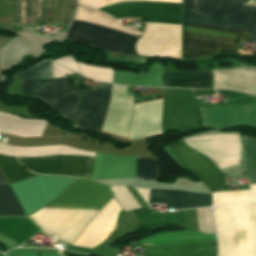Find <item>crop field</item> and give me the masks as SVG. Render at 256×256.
Returning a JSON list of instances; mask_svg holds the SVG:
<instances>
[{"instance_id":"8a807250","label":"crop field","mask_w":256,"mask_h":256,"mask_svg":"<svg viewBox=\"0 0 256 256\" xmlns=\"http://www.w3.org/2000/svg\"><path fill=\"white\" fill-rule=\"evenodd\" d=\"M182 21L246 31L256 41V0H183ZM185 22L182 58L237 53L241 32Z\"/></svg>"},{"instance_id":"ac0d7876","label":"crop field","mask_w":256,"mask_h":256,"mask_svg":"<svg viewBox=\"0 0 256 256\" xmlns=\"http://www.w3.org/2000/svg\"><path fill=\"white\" fill-rule=\"evenodd\" d=\"M121 1H160L181 3V0H78V3L99 9ZM160 2H122L99 9L115 19L136 16L145 22L181 24V4ZM136 51L139 56H161L181 59V25L146 23Z\"/></svg>"},{"instance_id":"34b2d1b8","label":"crop field","mask_w":256,"mask_h":256,"mask_svg":"<svg viewBox=\"0 0 256 256\" xmlns=\"http://www.w3.org/2000/svg\"><path fill=\"white\" fill-rule=\"evenodd\" d=\"M109 187L89 179L76 178L45 207L100 210L113 197ZM97 212L73 210L53 235L71 244Z\"/></svg>"},{"instance_id":"412701ff","label":"crop field","mask_w":256,"mask_h":256,"mask_svg":"<svg viewBox=\"0 0 256 256\" xmlns=\"http://www.w3.org/2000/svg\"><path fill=\"white\" fill-rule=\"evenodd\" d=\"M218 256H256V201L214 208Z\"/></svg>"},{"instance_id":"f4fd0767","label":"crop field","mask_w":256,"mask_h":256,"mask_svg":"<svg viewBox=\"0 0 256 256\" xmlns=\"http://www.w3.org/2000/svg\"><path fill=\"white\" fill-rule=\"evenodd\" d=\"M74 20L120 30L132 35L140 36L142 34L141 32L122 27L111 17L90 8L77 6L76 17ZM77 21H73L67 32V38L86 42L91 46L109 52L134 55L133 44L138 37Z\"/></svg>"},{"instance_id":"dd49c442","label":"crop field","mask_w":256,"mask_h":256,"mask_svg":"<svg viewBox=\"0 0 256 256\" xmlns=\"http://www.w3.org/2000/svg\"><path fill=\"white\" fill-rule=\"evenodd\" d=\"M83 92L68 93L66 78L24 80L23 94L36 95L57 109L65 118L74 120Z\"/></svg>"},{"instance_id":"e52e79f7","label":"crop field","mask_w":256,"mask_h":256,"mask_svg":"<svg viewBox=\"0 0 256 256\" xmlns=\"http://www.w3.org/2000/svg\"><path fill=\"white\" fill-rule=\"evenodd\" d=\"M19 163L33 165L62 166L92 169L94 157L72 156V155H55L46 157H15ZM23 167L35 173L52 174V175H71L91 177L92 170L44 167L21 164Z\"/></svg>"},{"instance_id":"d8731c3e","label":"crop field","mask_w":256,"mask_h":256,"mask_svg":"<svg viewBox=\"0 0 256 256\" xmlns=\"http://www.w3.org/2000/svg\"><path fill=\"white\" fill-rule=\"evenodd\" d=\"M111 85L97 83L90 92H84L73 126L100 131L104 120Z\"/></svg>"},{"instance_id":"5a996713","label":"crop field","mask_w":256,"mask_h":256,"mask_svg":"<svg viewBox=\"0 0 256 256\" xmlns=\"http://www.w3.org/2000/svg\"><path fill=\"white\" fill-rule=\"evenodd\" d=\"M202 124L215 130L235 125L256 127V105L199 108Z\"/></svg>"},{"instance_id":"3316defc","label":"crop field","mask_w":256,"mask_h":256,"mask_svg":"<svg viewBox=\"0 0 256 256\" xmlns=\"http://www.w3.org/2000/svg\"><path fill=\"white\" fill-rule=\"evenodd\" d=\"M169 147L210 191L224 186V174L215 167L211 160L191 150L181 140Z\"/></svg>"},{"instance_id":"28ad6ade","label":"crop field","mask_w":256,"mask_h":256,"mask_svg":"<svg viewBox=\"0 0 256 256\" xmlns=\"http://www.w3.org/2000/svg\"><path fill=\"white\" fill-rule=\"evenodd\" d=\"M133 97H126V87L112 85L111 102L102 131L128 137L132 116Z\"/></svg>"},{"instance_id":"d1516ede","label":"crop field","mask_w":256,"mask_h":256,"mask_svg":"<svg viewBox=\"0 0 256 256\" xmlns=\"http://www.w3.org/2000/svg\"><path fill=\"white\" fill-rule=\"evenodd\" d=\"M187 145L210 157L219 169L238 165L240 162L241 144L238 134Z\"/></svg>"},{"instance_id":"22f410ed","label":"crop field","mask_w":256,"mask_h":256,"mask_svg":"<svg viewBox=\"0 0 256 256\" xmlns=\"http://www.w3.org/2000/svg\"><path fill=\"white\" fill-rule=\"evenodd\" d=\"M213 87L256 95V67L212 70Z\"/></svg>"},{"instance_id":"cbeb9de0","label":"crop field","mask_w":256,"mask_h":256,"mask_svg":"<svg viewBox=\"0 0 256 256\" xmlns=\"http://www.w3.org/2000/svg\"><path fill=\"white\" fill-rule=\"evenodd\" d=\"M163 100L136 104L135 116L129 139L146 138L160 134L161 110Z\"/></svg>"},{"instance_id":"5142ce71","label":"crop field","mask_w":256,"mask_h":256,"mask_svg":"<svg viewBox=\"0 0 256 256\" xmlns=\"http://www.w3.org/2000/svg\"><path fill=\"white\" fill-rule=\"evenodd\" d=\"M143 256H216V240L143 246Z\"/></svg>"},{"instance_id":"d9b57169","label":"crop field","mask_w":256,"mask_h":256,"mask_svg":"<svg viewBox=\"0 0 256 256\" xmlns=\"http://www.w3.org/2000/svg\"><path fill=\"white\" fill-rule=\"evenodd\" d=\"M158 201L179 209V191L149 189V204ZM209 206V195L180 191V209Z\"/></svg>"},{"instance_id":"733c2abd","label":"crop field","mask_w":256,"mask_h":256,"mask_svg":"<svg viewBox=\"0 0 256 256\" xmlns=\"http://www.w3.org/2000/svg\"><path fill=\"white\" fill-rule=\"evenodd\" d=\"M211 70L196 72L163 73L164 87L211 88Z\"/></svg>"},{"instance_id":"4a817a6b","label":"crop field","mask_w":256,"mask_h":256,"mask_svg":"<svg viewBox=\"0 0 256 256\" xmlns=\"http://www.w3.org/2000/svg\"><path fill=\"white\" fill-rule=\"evenodd\" d=\"M242 165L250 183H256V138L243 136Z\"/></svg>"},{"instance_id":"bc2a9ffb","label":"crop field","mask_w":256,"mask_h":256,"mask_svg":"<svg viewBox=\"0 0 256 256\" xmlns=\"http://www.w3.org/2000/svg\"><path fill=\"white\" fill-rule=\"evenodd\" d=\"M0 216H26L9 185L0 184Z\"/></svg>"},{"instance_id":"214f88e0","label":"crop field","mask_w":256,"mask_h":256,"mask_svg":"<svg viewBox=\"0 0 256 256\" xmlns=\"http://www.w3.org/2000/svg\"><path fill=\"white\" fill-rule=\"evenodd\" d=\"M249 186L251 190L214 193L213 206L256 199V184Z\"/></svg>"},{"instance_id":"92a150f3","label":"crop field","mask_w":256,"mask_h":256,"mask_svg":"<svg viewBox=\"0 0 256 256\" xmlns=\"http://www.w3.org/2000/svg\"><path fill=\"white\" fill-rule=\"evenodd\" d=\"M0 168L8 183L25 179L34 175L20 168L16 161L10 156L0 155Z\"/></svg>"},{"instance_id":"dafd665d","label":"crop field","mask_w":256,"mask_h":256,"mask_svg":"<svg viewBox=\"0 0 256 256\" xmlns=\"http://www.w3.org/2000/svg\"><path fill=\"white\" fill-rule=\"evenodd\" d=\"M80 73L96 81L111 83L113 69L76 63Z\"/></svg>"},{"instance_id":"00972430","label":"crop field","mask_w":256,"mask_h":256,"mask_svg":"<svg viewBox=\"0 0 256 256\" xmlns=\"http://www.w3.org/2000/svg\"><path fill=\"white\" fill-rule=\"evenodd\" d=\"M16 78L51 79L53 78L51 61H44L36 67L15 74Z\"/></svg>"},{"instance_id":"a9b5d70f","label":"crop field","mask_w":256,"mask_h":256,"mask_svg":"<svg viewBox=\"0 0 256 256\" xmlns=\"http://www.w3.org/2000/svg\"><path fill=\"white\" fill-rule=\"evenodd\" d=\"M136 177L156 180L155 158L136 157Z\"/></svg>"},{"instance_id":"4177f3b9","label":"crop field","mask_w":256,"mask_h":256,"mask_svg":"<svg viewBox=\"0 0 256 256\" xmlns=\"http://www.w3.org/2000/svg\"><path fill=\"white\" fill-rule=\"evenodd\" d=\"M184 213H185L187 228L199 232L194 209L184 210Z\"/></svg>"},{"instance_id":"730fd06b","label":"crop field","mask_w":256,"mask_h":256,"mask_svg":"<svg viewBox=\"0 0 256 256\" xmlns=\"http://www.w3.org/2000/svg\"><path fill=\"white\" fill-rule=\"evenodd\" d=\"M54 61L79 73V71L76 67L75 61H74V59L71 55L61 57V58H59L57 60H54Z\"/></svg>"},{"instance_id":"eef30255","label":"crop field","mask_w":256,"mask_h":256,"mask_svg":"<svg viewBox=\"0 0 256 256\" xmlns=\"http://www.w3.org/2000/svg\"><path fill=\"white\" fill-rule=\"evenodd\" d=\"M52 66H53V74H54V78H58V77H64L65 74L70 75L73 72L55 64L52 62Z\"/></svg>"},{"instance_id":"ae1a2a85","label":"crop field","mask_w":256,"mask_h":256,"mask_svg":"<svg viewBox=\"0 0 256 256\" xmlns=\"http://www.w3.org/2000/svg\"><path fill=\"white\" fill-rule=\"evenodd\" d=\"M129 192L132 194V196L135 198V200L138 202V204L142 207H146L148 206L144 200L142 199V197L136 192L135 189L131 188V187H126ZM124 211V210H123Z\"/></svg>"},{"instance_id":"d3111659","label":"crop field","mask_w":256,"mask_h":256,"mask_svg":"<svg viewBox=\"0 0 256 256\" xmlns=\"http://www.w3.org/2000/svg\"><path fill=\"white\" fill-rule=\"evenodd\" d=\"M6 182L2 174L0 173V183Z\"/></svg>"}]
</instances>
